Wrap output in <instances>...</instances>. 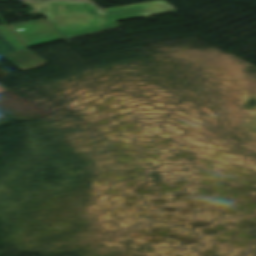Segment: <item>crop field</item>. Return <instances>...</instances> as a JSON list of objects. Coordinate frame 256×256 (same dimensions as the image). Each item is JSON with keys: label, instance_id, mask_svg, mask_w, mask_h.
<instances>
[{"label": "crop field", "instance_id": "crop-field-4", "mask_svg": "<svg viewBox=\"0 0 256 256\" xmlns=\"http://www.w3.org/2000/svg\"><path fill=\"white\" fill-rule=\"evenodd\" d=\"M15 52L10 43L0 34V56Z\"/></svg>", "mask_w": 256, "mask_h": 256}, {"label": "crop field", "instance_id": "crop-field-5", "mask_svg": "<svg viewBox=\"0 0 256 256\" xmlns=\"http://www.w3.org/2000/svg\"><path fill=\"white\" fill-rule=\"evenodd\" d=\"M0 89L2 90V91H0V92H3V91L6 90V89H4L2 86H0Z\"/></svg>", "mask_w": 256, "mask_h": 256}, {"label": "crop field", "instance_id": "crop-field-3", "mask_svg": "<svg viewBox=\"0 0 256 256\" xmlns=\"http://www.w3.org/2000/svg\"><path fill=\"white\" fill-rule=\"evenodd\" d=\"M11 31V30H10ZM9 31L6 26L0 27V33L11 43L13 44L16 51L25 49L23 44Z\"/></svg>", "mask_w": 256, "mask_h": 256}, {"label": "crop field", "instance_id": "crop-field-7", "mask_svg": "<svg viewBox=\"0 0 256 256\" xmlns=\"http://www.w3.org/2000/svg\"><path fill=\"white\" fill-rule=\"evenodd\" d=\"M29 1H36V0H29ZM84 1H89V0H84Z\"/></svg>", "mask_w": 256, "mask_h": 256}, {"label": "crop field", "instance_id": "crop-field-2", "mask_svg": "<svg viewBox=\"0 0 256 256\" xmlns=\"http://www.w3.org/2000/svg\"><path fill=\"white\" fill-rule=\"evenodd\" d=\"M29 47L61 40L48 21L43 18L8 25Z\"/></svg>", "mask_w": 256, "mask_h": 256}, {"label": "crop field", "instance_id": "crop-field-6", "mask_svg": "<svg viewBox=\"0 0 256 256\" xmlns=\"http://www.w3.org/2000/svg\"><path fill=\"white\" fill-rule=\"evenodd\" d=\"M0 2H3V3H5V2H7V0H0Z\"/></svg>", "mask_w": 256, "mask_h": 256}, {"label": "crop field", "instance_id": "crop-field-1", "mask_svg": "<svg viewBox=\"0 0 256 256\" xmlns=\"http://www.w3.org/2000/svg\"><path fill=\"white\" fill-rule=\"evenodd\" d=\"M62 38L117 26L114 21L175 12L164 0L98 11L90 3L47 1L32 4Z\"/></svg>", "mask_w": 256, "mask_h": 256}]
</instances>
